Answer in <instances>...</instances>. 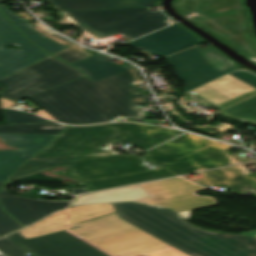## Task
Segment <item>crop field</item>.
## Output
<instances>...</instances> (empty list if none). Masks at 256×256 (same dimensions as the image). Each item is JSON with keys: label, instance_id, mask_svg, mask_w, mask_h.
Returning <instances> with one entry per match:
<instances>
[{"label": "crop field", "instance_id": "crop-field-1", "mask_svg": "<svg viewBox=\"0 0 256 256\" xmlns=\"http://www.w3.org/2000/svg\"><path fill=\"white\" fill-rule=\"evenodd\" d=\"M181 133L183 131L126 122L69 126L8 181L57 166H70L69 170L56 174L77 180L81 185H88L85 188L96 191L240 162L222 151L232 146L190 133L144 154L147 161L159 165L154 170L142 166L139 157L100 150L118 136L122 141L146 150ZM66 171L69 173L64 174Z\"/></svg>", "mask_w": 256, "mask_h": 256}, {"label": "crop field", "instance_id": "crop-field-2", "mask_svg": "<svg viewBox=\"0 0 256 256\" xmlns=\"http://www.w3.org/2000/svg\"><path fill=\"white\" fill-rule=\"evenodd\" d=\"M121 219L116 213L36 239L7 237L34 256H187Z\"/></svg>", "mask_w": 256, "mask_h": 256}, {"label": "crop field", "instance_id": "crop-field-3", "mask_svg": "<svg viewBox=\"0 0 256 256\" xmlns=\"http://www.w3.org/2000/svg\"><path fill=\"white\" fill-rule=\"evenodd\" d=\"M142 79L137 67L92 83L86 76L70 83L32 96L31 99L57 121L68 124L95 123L104 119L102 101L105 100L106 121L114 116L143 117L136 104L148 103L147 96L129 97L131 81Z\"/></svg>", "mask_w": 256, "mask_h": 256}, {"label": "crop field", "instance_id": "crop-field-4", "mask_svg": "<svg viewBox=\"0 0 256 256\" xmlns=\"http://www.w3.org/2000/svg\"><path fill=\"white\" fill-rule=\"evenodd\" d=\"M113 206L120 218L189 256H256V238L203 229L169 209L135 202Z\"/></svg>", "mask_w": 256, "mask_h": 256}, {"label": "crop field", "instance_id": "crop-field-5", "mask_svg": "<svg viewBox=\"0 0 256 256\" xmlns=\"http://www.w3.org/2000/svg\"><path fill=\"white\" fill-rule=\"evenodd\" d=\"M205 188L181 177L134 185L105 192L81 195L70 207L83 204H101L135 201L154 206L170 208L189 220L193 209L217 204L207 196H198L194 192Z\"/></svg>", "mask_w": 256, "mask_h": 256}, {"label": "crop field", "instance_id": "crop-field-6", "mask_svg": "<svg viewBox=\"0 0 256 256\" xmlns=\"http://www.w3.org/2000/svg\"><path fill=\"white\" fill-rule=\"evenodd\" d=\"M80 26L100 39L123 33L130 40L165 27L167 19L160 11L150 12L147 7L67 11Z\"/></svg>", "mask_w": 256, "mask_h": 256}, {"label": "crop field", "instance_id": "crop-field-7", "mask_svg": "<svg viewBox=\"0 0 256 256\" xmlns=\"http://www.w3.org/2000/svg\"><path fill=\"white\" fill-rule=\"evenodd\" d=\"M82 76L80 70L49 56L1 79L0 87L8 88L0 96L18 101Z\"/></svg>", "mask_w": 256, "mask_h": 256}, {"label": "crop field", "instance_id": "crop-field-8", "mask_svg": "<svg viewBox=\"0 0 256 256\" xmlns=\"http://www.w3.org/2000/svg\"><path fill=\"white\" fill-rule=\"evenodd\" d=\"M166 59L186 84L185 92L237 69L234 62L213 47L197 46Z\"/></svg>", "mask_w": 256, "mask_h": 256}, {"label": "crop field", "instance_id": "crop-field-9", "mask_svg": "<svg viewBox=\"0 0 256 256\" xmlns=\"http://www.w3.org/2000/svg\"><path fill=\"white\" fill-rule=\"evenodd\" d=\"M16 44L18 49H5ZM0 79L49 56L31 44L0 12Z\"/></svg>", "mask_w": 256, "mask_h": 256}, {"label": "crop field", "instance_id": "crop-field-10", "mask_svg": "<svg viewBox=\"0 0 256 256\" xmlns=\"http://www.w3.org/2000/svg\"><path fill=\"white\" fill-rule=\"evenodd\" d=\"M200 43L203 42L196 36L174 24L126 44L145 53L164 57Z\"/></svg>", "mask_w": 256, "mask_h": 256}, {"label": "crop field", "instance_id": "crop-field-11", "mask_svg": "<svg viewBox=\"0 0 256 256\" xmlns=\"http://www.w3.org/2000/svg\"><path fill=\"white\" fill-rule=\"evenodd\" d=\"M116 212L112 204L84 205L55 213L42 221L21 230L28 238L70 229L78 222Z\"/></svg>", "mask_w": 256, "mask_h": 256}, {"label": "crop field", "instance_id": "crop-field-12", "mask_svg": "<svg viewBox=\"0 0 256 256\" xmlns=\"http://www.w3.org/2000/svg\"><path fill=\"white\" fill-rule=\"evenodd\" d=\"M56 135L0 133V138L10 146H18L21 152L0 151V181L9 178L18 167L49 145Z\"/></svg>", "mask_w": 256, "mask_h": 256}, {"label": "crop field", "instance_id": "crop-field-13", "mask_svg": "<svg viewBox=\"0 0 256 256\" xmlns=\"http://www.w3.org/2000/svg\"><path fill=\"white\" fill-rule=\"evenodd\" d=\"M10 183L12 182H7L6 184ZM6 184L0 191V201L4 209L24 226L56 209L66 207L71 201H42L14 196L6 192Z\"/></svg>", "mask_w": 256, "mask_h": 256}, {"label": "crop field", "instance_id": "crop-field-14", "mask_svg": "<svg viewBox=\"0 0 256 256\" xmlns=\"http://www.w3.org/2000/svg\"><path fill=\"white\" fill-rule=\"evenodd\" d=\"M253 87L256 88V75L237 71L192 92L218 104Z\"/></svg>", "mask_w": 256, "mask_h": 256}, {"label": "crop field", "instance_id": "crop-field-15", "mask_svg": "<svg viewBox=\"0 0 256 256\" xmlns=\"http://www.w3.org/2000/svg\"><path fill=\"white\" fill-rule=\"evenodd\" d=\"M62 11L155 6L156 0H47Z\"/></svg>", "mask_w": 256, "mask_h": 256}, {"label": "crop field", "instance_id": "crop-field-16", "mask_svg": "<svg viewBox=\"0 0 256 256\" xmlns=\"http://www.w3.org/2000/svg\"><path fill=\"white\" fill-rule=\"evenodd\" d=\"M109 58L111 57L103 54H97L72 65L84 71L92 82L134 67L127 62H124L128 64L125 67L119 64L110 63L106 61Z\"/></svg>", "mask_w": 256, "mask_h": 256}, {"label": "crop field", "instance_id": "crop-field-17", "mask_svg": "<svg viewBox=\"0 0 256 256\" xmlns=\"http://www.w3.org/2000/svg\"><path fill=\"white\" fill-rule=\"evenodd\" d=\"M0 10L9 18V20L18 28L20 29L33 43L40 46L44 50L48 51L49 53L53 54L59 50L66 48L60 44H57L37 32H35L29 22L25 21L24 19L20 18L19 16L12 14L10 10L6 7L5 4L0 5Z\"/></svg>", "mask_w": 256, "mask_h": 256}, {"label": "crop field", "instance_id": "crop-field-18", "mask_svg": "<svg viewBox=\"0 0 256 256\" xmlns=\"http://www.w3.org/2000/svg\"><path fill=\"white\" fill-rule=\"evenodd\" d=\"M65 127L67 126L55 122L36 124H14L0 126V132L58 134Z\"/></svg>", "mask_w": 256, "mask_h": 256}, {"label": "crop field", "instance_id": "crop-field-19", "mask_svg": "<svg viewBox=\"0 0 256 256\" xmlns=\"http://www.w3.org/2000/svg\"><path fill=\"white\" fill-rule=\"evenodd\" d=\"M220 114L256 125V97L222 111Z\"/></svg>", "mask_w": 256, "mask_h": 256}, {"label": "crop field", "instance_id": "crop-field-20", "mask_svg": "<svg viewBox=\"0 0 256 256\" xmlns=\"http://www.w3.org/2000/svg\"><path fill=\"white\" fill-rule=\"evenodd\" d=\"M250 173L247 170L246 166L244 164H241L236 166L209 170V171L201 172L200 174L203 177L206 176L210 182H213V181H218V180H222V179H226L234 176L246 175Z\"/></svg>", "mask_w": 256, "mask_h": 256}, {"label": "crop field", "instance_id": "crop-field-21", "mask_svg": "<svg viewBox=\"0 0 256 256\" xmlns=\"http://www.w3.org/2000/svg\"><path fill=\"white\" fill-rule=\"evenodd\" d=\"M1 109L6 123H35L48 121L31 113H24L22 111L12 109Z\"/></svg>", "mask_w": 256, "mask_h": 256}, {"label": "crop field", "instance_id": "crop-field-22", "mask_svg": "<svg viewBox=\"0 0 256 256\" xmlns=\"http://www.w3.org/2000/svg\"><path fill=\"white\" fill-rule=\"evenodd\" d=\"M53 55L69 64H72L74 62H77L79 60L92 56V54L87 53L77 44L69 46L68 48L60 52H57Z\"/></svg>", "mask_w": 256, "mask_h": 256}, {"label": "crop field", "instance_id": "crop-field-23", "mask_svg": "<svg viewBox=\"0 0 256 256\" xmlns=\"http://www.w3.org/2000/svg\"><path fill=\"white\" fill-rule=\"evenodd\" d=\"M0 252L6 256H28L26 250L7 237L0 239Z\"/></svg>", "mask_w": 256, "mask_h": 256}, {"label": "crop field", "instance_id": "crop-field-24", "mask_svg": "<svg viewBox=\"0 0 256 256\" xmlns=\"http://www.w3.org/2000/svg\"><path fill=\"white\" fill-rule=\"evenodd\" d=\"M4 182H0V187ZM22 227L18 222L6 214L0 207V236Z\"/></svg>", "mask_w": 256, "mask_h": 256}, {"label": "crop field", "instance_id": "crop-field-25", "mask_svg": "<svg viewBox=\"0 0 256 256\" xmlns=\"http://www.w3.org/2000/svg\"><path fill=\"white\" fill-rule=\"evenodd\" d=\"M33 28H35L38 32L42 33L43 35H45L46 37L56 41V42H59L63 45H66V46H69L71 44H74L73 42L51 32L50 30H48L45 26H43L42 24L40 23H37V24H33L32 25Z\"/></svg>", "mask_w": 256, "mask_h": 256}, {"label": "crop field", "instance_id": "crop-field-26", "mask_svg": "<svg viewBox=\"0 0 256 256\" xmlns=\"http://www.w3.org/2000/svg\"><path fill=\"white\" fill-rule=\"evenodd\" d=\"M204 185H229L231 193L240 194L236 177Z\"/></svg>", "mask_w": 256, "mask_h": 256}, {"label": "crop field", "instance_id": "crop-field-27", "mask_svg": "<svg viewBox=\"0 0 256 256\" xmlns=\"http://www.w3.org/2000/svg\"><path fill=\"white\" fill-rule=\"evenodd\" d=\"M241 194L250 191L255 192L249 176L237 177Z\"/></svg>", "mask_w": 256, "mask_h": 256}, {"label": "crop field", "instance_id": "crop-field-28", "mask_svg": "<svg viewBox=\"0 0 256 256\" xmlns=\"http://www.w3.org/2000/svg\"><path fill=\"white\" fill-rule=\"evenodd\" d=\"M72 190V194L76 195V194H80V193H84V192H89V190L85 189V188H79V189H72V188H67Z\"/></svg>", "mask_w": 256, "mask_h": 256}, {"label": "crop field", "instance_id": "crop-field-29", "mask_svg": "<svg viewBox=\"0 0 256 256\" xmlns=\"http://www.w3.org/2000/svg\"><path fill=\"white\" fill-rule=\"evenodd\" d=\"M196 182L200 183V184H204V183H209V181L207 180V178H202V179H198L195 180Z\"/></svg>", "mask_w": 256, "mask_h": 256}, {"label": "crop field", "instance_id": "crop-field-30", "mask_svg": "<svg viewBox=\"0 0 256 256\" xmlns=\"http://www.w3.org/2000/svg\"><path fill=\"white\" fill-rule=\"evenodd\" d=\"M250 178H251V181H252V183L254 185V188L256 190V178H253V177H250Z\"/></svg>", "mask_w": 256, "mask_h": 256}, {"label": "crop field", "instance_id": "crop-field-31", "mask_svg": "<svg viewBox=\"0 0 256 256\" xmlns=\"http://www.w3.org/2000/svg\"><path fill=\"white\" fill-rule=\"evenodd\" d=\"M97 90V89H96ZM97 92H98V90H97ZM98 94H99V92H98ZM99 96H100V94H99ZM101 97V96H100ZM101 99H102V97H101ZM102 101H103V111H104V100L102 99ZM105 116V115H104ZM105 121V120H104Z\"/></svg>", "mask_w": 256, "mask_h": 256}, {"label": "crop field", "instance_id": "crop-field-32", "mask_svg": "<svg viewBox=\"0 0 256 256\" xmlns=\"http://www.w3.org/2000/svg\"><path fill=\"white\" fill-rule=\"evenodd\" d=\"M4 1H6V0H0V3H1V2H4Z\"/></svg>", "mask_w": 256, "mask_h": 256}, {"label": "crop field", "instance_id": "crop-field-33", "mask_svg": "<svg viewBox=\"0 0 256 256\" xmlns=\"http://www.w3.org/2000/svg\"><path fill=\"white\" fill-rule=\"evenodd\" d=\"M0 256H5V255H3L2 253H0Z\"/></svg>", "mask_w": 256, "mask_h": 256}, {"label": "crop field", "instance_id": "crop-field-34", "mask_svg": "<svg viewBox=\"0 0 256 256\" xmlns=\"http://www.w3.org/2000/svg\"><path fill=\"white\" fill-rule=\"evenodd\" d=\"M255 196H256V194H255Z\"/></svg>", "mask_w": 256, "mask_h": 256}, {"label": "crop field", "instance_id": "crop-field-35", "mask_svg": "<svg viewBox=\"0 0 256 256\" xmlns=\"http://www.w3.org/2000/svg\"><path fill=\"white\" fill-rule=\"evenodd\" d=\"M256 237V236H255Z\"/></svg>", "mask_w": 256, "mask_h": 256}]
</instances>
